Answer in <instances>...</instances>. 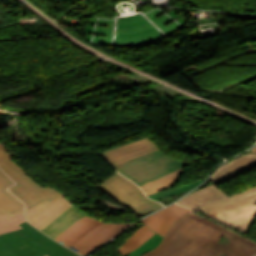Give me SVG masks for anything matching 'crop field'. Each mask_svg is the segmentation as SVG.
<instances>
[{"label": "crop field", "instance_id": "9", "mask_svg": "<svg viewBox=\"0 0 256 256\" xmlns=\"http://www.w3.org/2000/svg\"><path fill=\"white\" fill-rule=\"evenodd\" d=\"M72 205L70 200L62 197L50 205L45 202L41 206L29 211L26 213V218L40 230Z\"/></svg>", "mask_w": 256, "mask_h": 256}, {"label": "crop field", "instance_id": "2", "mask_svg": "<svg viewBox=\"0 0 256 256\" xmlns=\"http://www.w3.org/2000/svg\"><path fill=\"white\" fill-rule=\"evenodd\" d=\"M251 241L190 212L143 256H256Z\"/></svg>", "mask_w": 256, "mask_h": 256}, {"label": "crop field", "instance_id": "13", "mask_svg": "<svg viewBox=\"0 0 256 256\" xmlns=\"http://www.w3.org/2000/svg\"><path fill=\"white\" fill-rule=\"evenodd\" d=\"M183 173H185V170L181 167L163 177L140 186V188L147 194V196H149L171 186L174 182H176L178 176Z\"/></svg>", "mask_w": 256, "mask_h": 256}, {"label": "crop field", "instance_id": "10", "mask_svg": "<svg viewBox=\"0 0 256 256\" xmlns=\"http://www.w3.org/2000/svg\"><path fill=\"white\" fill-rule=\"evenodd\" d=\"M190 211L191 210L187 208L174 204L142 221L145 222L148 227L164 237L168 230L176 224L182 216Z\"/></svg>", "mask_w": 256, "mask_h": 256}, {"label": "crop field", "instance_id": "14", "mask_svg": "<svg viewBox=\"0 0 256 256\" xmlns=\"http://www.w3.org/2000/svg\"><path fill=\"white\" fill-rule=\"evenodd\" d=\"M155 234L156 233L147 228L145 225L141 226L139 230L135 231L130 236V238L122 246L119 247L120 253L124 255L135 250L137 247H139L141 244H143Z\"/></svg>", "mask_w": 256, "mask_h": 256}, {"label": "crop field", "instance_id": "3", "mask_svg": "<svg viewBox=\"0 0 256 256\" xmlns=\"http://www.w3.org/2000/svg\"><path fill=\"white\" fill-rule=\"evenodd\" d=\"M23 228L0 235V256H79L26 222Z\"/></svg>", "mask_w": 256, "mask_h": 256}, {"label": "crop field", "instance_id": "16", "mask_svg": "<svg viewBox=\"0 0 256 256\" xmlns=\"http://www.w3.org/2000/svg\"><path fill=\"white\" fill-rule=\"evenodd\" d=\"M204 180V179H203ZM203 180H199V181H196V182H193V183H190V184H187L185 186H182V187H179V188H176V189H170V190H165V191H160L156 194H153L151 196H149L150 198L154 199V200H157V201H160L166 197H169V196H173V195H176V194H179V193H182V192H185V191H190L192 188L196 187L198 184H200Z\"/></svg>", "mask_w": 256, "mask_h": 256}, {"label": "crop field", "instance_id": "12", "mask_svg": "<svg viewBox=\"0 0 256 256\" xmlns=\"http://www.w3.org/2000/svg\"><path fill=\"white\" fill-rule=\"evenodd\" d=\"M14 182L0 169V215L10 216L24 210V204L6 188Z\"/></svg>", "mask_w": 256, "mask_h": 256}, {"label": "crop field", "instance_id": "8", "mask_svg": "<svg viewBox=\"0 0 256 256\" xmlns=\"http://www.w3.org/2000/svg\"><path fill=\"white\" fill-rule=\"evenodd\" d=\"M159 150L154 142L148 138L124 145L122 147L102 153L112 166L144 155L146 153Z\"/></svg>", "mask_w": 256, "mask_h": 256}, {"label": "crop field", "instance_id": "1", "mask_svg": "<svg viewBox=\"0 0 256 256\" xmlns=\"http://www.w3.org/2000/svg\"><path fill=\"white\" fill-rule=\"evenodd\" d=\"M252 151L218 167L210 179L219 184L256 167V148ZM177 203L246 235L256 218V186L229 196L212 184L186 195Z\"/></svg>", "mask_w": 256, "mask_h": 256}, {"label": "crop field", "instance_id": "11", "mask_svg": "<svg viewBox=\"0 0 256 256\" xmlns=\"http://www.w3.org/2000/svg\"><path fill=\"white\" fill-rule=\"evenodd\" d=\"M85 216L86 215L83 212L73 205L40 231L55 239Z\"/></svg>", "mask_w": 256, "mask_h": 256}, {"label": "crop field", "instance_id": "15", "mask_svg": "<svg viewBox=\"0 0 256 256\" xmlns=\"http://www.w3.org/2000/svg\"><path fill=\"white\" fill-rule=\"evenodd\" d=\"M24 221V211L12 217H10L8 214L0 216V234L21 228L19 224Z\"/></svg>", "mask_w": 256, "mask_h": 256}, {"label": "crop field", "instance_id": "4", "mask_svg": "<svg viewBox=\"0 0 256 256\" xmlns=\"http://www.w3.org/2000/svg\"><path fill=\"white\" fill-rule=\"evenodd\" d=\"M132 224L105 223L86 216L55 240L86 256Z\"/></svg>", "mask_w": 256, "mask_h": 256}, {"label": "crop field", "instance_id": "7", "mask_svg": "<svg viewBox=\"0 0 256 256\" xmlns=\"http://www.w3.org/2000/svg\"><path fill=\"white\" fill-rule=\"evenodd\" d=\"M98 188L139 216L163 207L162 204L149 200L138 186L118 173L102 182Z\"/></svg>", "mask_w": 256, "mask_h": 256}, {"label": "crop field", "instance_id": "5", "mask_svg": "<svg viewBox=\"0 0 256 256\" xmlns=\"http://www.w3.org/2000/svg\"><path fill=\"white\" fill-rule=\"evenodd\" d=\"M0 167L16 182L9 190L26 204V212L45 201L50 204L63 196L50 187H41L28 177L23 170L11 160L6 147L2 144H0Z\"/></svg>", "mask_w": 256, "mask_h": 256}, {"label": "crop field", "instance_id": "6", "mask_svg": "<svg viewBox=\"0 0 256 256\" xmlns=\"http://www.w3.org/2000/svg\"><path fill=\"white\" fill-rule=\"evenodd\" d=\"M186 164L187 162L168 157L159 150L118 164L114 168L137 185H142Z\"/></svg>", "mask_w": 256, "mask_h": 256}, {"label": "crop field", "instance_id": "17", "mask_svg": "<svg viewBox=\"0 0 256 256\" xmlns=\"http://www.w3.org/2000/svg\"><path fill=\"white\" fill-rule=\"evenodd\" d=\"M157 234L149 239L147 242H145L143 245H141L139 248H137L135 251H133L129 256H141L142 254L154 249L157 245H159L163 238Z\"/></svg>", "mask_w": 256, "mask_h": 256}]
</instances>
